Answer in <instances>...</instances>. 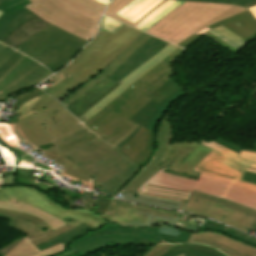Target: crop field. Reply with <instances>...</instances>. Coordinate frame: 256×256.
Instances as JSON below:
<instances>
[{
    "mask_svg": "<svg viewBox=\"0 0 256 256\" xmlns=\"http://www.w3.org/2000/svg\"><path fill=\"white\" fill-rule=\"evenodd\" d=\"M174 2L173 0H169L168 2H166L165 4H163L161 7H159L158 9H156L153 13H151L147 18H145L141 23H139L136 28H140L142 27L144 24H146L148 21H150L152 18H154L156 15H158L159 13H161L163 10H165L167 7H169L170 5H172Z\"/></svg>",
    "mask_w": 256,
    "mask_h": 256,
    "instance_id": "obj_42",
    "label": "crop field"
},
{
    "mask_svg": "<svg viewBox=\"0 0 256 256\" xmlns=\"http://www.w3.org/2000/svg\"><path fill=\"white\" fill-rule=\"evenodd\" d=\"M139 193L153 197L178 200L182 202H186L190 196V193L159 188L149 184H147Z\"/></svg>",
    "mask_w": 256,
    "mask_h": 256,
    "instance_id": "obj_27",
    "label": "crop field"
},
{
    "mask_svg": "<svg viewBox=\"0 0 256 256\" xmlns=\"http://www.w3.org/2000/svg\"><path fill=\"white\" fill-rule=\"evenodd\" d=\"M201 229L203 230H211V231H215L224 235H228L234 239L246 242L250 245L256 246V239L249 237L245 234H242L240 232H237L235 230H232L230 228H227L223 225H219L215 222L206 220L205 223L202 225Z\"/></svg>",
    "mask_w": 256,
    "mask_h": 256,
    "instance_id": "obj_28",
    "label": "crop field"
},
{
    "mask_svg": "<svg viewBox=\"0 0 256 256\" xmlns=\"http://www.w3.org/2000/svg\"><path fill=\"white\" fill-rule=\"evenodd\" d=\"M154 150V133L140 127L136 135L118 149L138 166H144Z\"/></svg>",
    "mask_w": 256,
    "mask_h": 256,
    "instance_id": "obj_19",
    "label": "crop field"
},
{
    "mask_svg": "<svg viewBox=\"0 0 256 256\" xmlns=\"http://www.w3.org/2000/svg\"><path fill=\"white\" fill-rule=\"evenodd\" d=\"M219 25L225 26L230 31H232L239 37L243 38L247 42L251 38L255 37V35H256V20L254 19L252 14L249 12V10H247L245 12H242L238 15L229 17L223 21H220V22L200 31L199 33L187 38L185 41L178 44V46L185 48L187 45H189L192 41H194L202 33L208 31L211 28L217 27Z\"/></svg>",
    "mask_w": 256,
    "mask_h": 256,
    "instance_id": "obj_17",
    "label": "crop field"
},
{
    "mask_svg": "<svg viewBox=\"0 0 256 256\" xmlns=\"http://www.w3.org/2000/svg\"><path fill=\"white\" fill-rule=\"evenodd\" d=\"M33 184H35L37 186H40L41 188H43V189H45L47 191L52 190V188L48 187L45 183H39V184L33 183Z\"/></svg>",
    "mask_w": 256,
    "mask_h": 256,
    "instance_id": "obj_53",
    "label": "crop field"
},
{
    "mask_svg": "<svg viewBox=\"0 0 256 256\" xmlns=\"http://www.w3.org/2000/svg\"><path fill=\"white\" fill-rule=\"evenodd\" d=\"M208 32L218 36L221 40H223L227 44L237 48L238 50H240L247 43L246 41L239 38L238 36H236L235 34L230 32L228 29H226L223 26L212 29Z\"/></svg>",
    "mask_w": 256,
    "mask_h": 256,
    "instance_id": "obj_33",
    "label": "crop field"
},
{
    "mask_svg": "<svg viewBox=\"0 0 256 256\" xmlns=\"http://www.w3.org/2000/svg\"><path fill=\"white\" fill-rule=\"evenodd\" d=\"M192 1L229 3V4L240 5L247 8L245 4L256 1V0H192Z\"/></svg>",
    "mask_w": 256,
    "mask_h": 256,
    "instance_id": "obj_44",
    "label": "crop field"
},
{
    "mask_svg": "<svg viewBox=\"0 0 256 256\" xmlns=\"http://www.w3.org/2000/svg\"><path fill=\"white\" fill-rule=\"evenodd\" d=\"M209 152L210 150L192 141L173 142V132L167 112L155 131V151L151 159L119 192L137 191L162 167L198 176L199 173L191 170Z\"/></svg>",
    "mask_w": 256,
    "mask_h": 256,
    "instance_id": "obj_5",
    "label": "crop field"
},
{
    "mask_svg": "<svg viewBox=\"0 0 256 256\" xmlns=\"http://www.w3.org/2000/svg\"><path fill=\"white\" fill-rule=\"evenodd\" d=\"M97 1H99L105 5H107L110 2V0H97Z\"/></svg>",
    "mask_w": 256,
    "mask_h": 256,
    "instance_id": "obj_56",
    "label": "crop field"
},
{
    "mask_svg": "<svg viewBox=\"0 0 256 256\" xmlns=\"http://www.w3.org/2000/svg\"><path fill=\"white\" fill-rule=\"evenodd\" d=\"M242 180L256 184V173L245 171Z\"/></svg>",
    "mask_w": 256,
    "mask_h": 256,
    "instance_id": "obj_47",
    "label": "crop field"
},
{
    "mask_svg": "<svg viewBox=\"0 0 256 256\" xmlns=\"http://www.w3.org/2000/svg\"><path fill=\"white\" fill-rule=\"evenodd\" d=\"M64 154L102 187L101 193L112 197L140 169L98 137Z\"/></svg>",
    "mask_w": 256,
    "mask_h": 256,
    "instance_id": "obj_4",
    "label": "crop field"
},
{
    "mask_svg": "<svg viewBox=\"0 0 256 256\" xmlns=\"http://www.w3.org/2000/svg\"><path fill=\"white\" fill-rule=\"evenodd\" d=\"M188 243H204L228 256H256V247L210 231L192 233Z\"/></svg>",
    "mask_w": 256,
    "mask_h": 256,
    "instance_id": "obj_15",
    "label": "crop field"
},
{
    "mask_svg": "<svg viewBox=\"0 0 256 256\" xmlns=\"http://www.w3.org/2000/svg\"><path fill=\"white\" fill-rule=\"evenodd\" d=\"M121 25L122 23L103 16L100 29L114 34Z\"/></svg>",
    "mask_w": 256,
    "mask_h": 256,
    "instance_id": "obj_37",
    "label": "crop field"
},
{
    "mask_svg": "<svg viewBox=\"0 0 256 256\" xmlns=\"http://www.w3.org/2000/svg\"><path fill=\"white\" fill-rule=\"evenodd\" d=\"M161 1L162 0H143L138 5H136L134 8H132L130 11H128L126 14H124L122 17L135 23L144 14H146L150 9H152L154 6H156Z\"/></svg>",
    "mask_w": 256,
    "mask_h": 256,
    "instance_id": "obj_32",
    "label": "crop field"
},
{
    "mask_svg": "<svg viewBox=\"0 0 256 256\" xmlns=\"http://www.w3.org/2000/svg\"><path fill=\"white\" fill-rule=\"evenodd\" d=\"M183 2L177 1L176 3H174L172 6H170L169 8H167L165 11H163L161 14H159L158 16H156L154 19H152L150 22H148L146 25H144L142 28H140V30L145 31L146 29H148L150 26H152L155 22H157L159 19H161L163 16H165L167 13H169L170 11L174 10L175 8H177L179 5H181ZM147 31V30H146Z\"/></svg>",
    "mask_w": 256,
    "mask_h": 256,
    "instance_id": "obj_40",
    "label": "crop field"
},
{
    "mask_svg": "<svg viewBox=\"0 0 256 256\" xmlns=\"http://www.w3.org/2000/svg\"><path fill=\"white\" fill-rule=\"evenodd\" d=\"M48 70L26 56H22L0 78V100L26 88L32 87L49 75Z\"/></svg>",
    "mask_w": 256,
    "mask_h": 256,
    "instance_id": "obj_12",
    "label": "crop field"
},
{
    "mask_svg": "<svg viewBox=\"0 0 256 256\" xmlns=\"http://www.w3.org/2000/svg\"><path fill=\"white\" fill-rule=\"evenodd\" d=\"M168 43L152 37L139 47L110 77L109 79L116 82L120 81L132 71L137 69L161 49H163Z\"/></svg>",
    "mask_w": 256,
    "mask_h": 256,
    "instance_id": "obj_18",
    "label": "crop field"
},
{
    "mask_svg": "<svg viewBox=\"0 0 256 256\" xmlns=\"http://www.w3.org/2000/svg\"><path fill=\"white\" fill-rule=\"evenodd\" d=\"M255 5H256V2H253V3L247 4L248 8L253 7V6H255Z\"/></svg>",
    "mask_w": 256,
    "mask_h": 256,
    "instance_id": "obj_57",
    "label": "crop field"
},
{
    "mask_svg": "<svg viewBox=\"0 0 256 256\" xmlns=\"http://www.w3.org/2000/svg\"><path fill=\"white\" fill-rule=\"evenodd\" d=\"M199 144L217 152L218 154L224 156V157H227L243 166H250V167H254L256 168V162L255 161H251V160H246V159H242L240 157L237 156V154L213 143L212 141H210L209 143H206L204 141H199Z\"/></svg>",
    "mask_w": 256,
    "mask_h": 256,
    "instance_id": "obj_30",
    "label": "crop field"
},
{
    "mask_svg": "<svg viewBox=\"0 0 256 256\" xmlns=\"http://www.w3.org/2000/svg\"><path fill=\"white\" fill-rule=\"evenodd\" d=\"M185 94L187 93L179 87L158 103L151 100L145 107H143L139 112H137L133 117L129 119L139 125L136 127L135 131L132 134H130L122 143H120L115 148L118 149L122 145L127 143L135 135L140 126H143L154 132L158 122L167 112L169 107L177 99L181 98Z\"/></svg>",
    "mask_w": 256,
    "mask_h": 256,
    "instance_id": "obj_14",
    "label": "crop field"
},
{
    "mask_svg": "<svg viewBox=\"0 0 256 256\" xmlns=\"http://www.w3.org/2000/svg\"><path fill=\"white\" fill-rule=\"evenodd\" d=\"M178 256H184V255H178Z\"/></svg>",
    "mask_w": 256,
    "mask_h": 256,
    "instance_id": "obj_60",
    "label": "crop field"
},
{
    "mask_svg": "<svg viewBox=\"0 0 256 256\" xmlns=\"http://www.w3.org/2000/svg\"><path fill=\"white\" fill-rule=\"evenodd\" d=\"M196 168L240 180L245 167L211 151ZM241 181V180H240Z\"/></svg>",
    "mask_w": 256,
    "mask_h": 256,
    "instance_id": "obj_22",
    "label": "crop field"
},
{
    "mask_svg": "<svg viewBox=\"0 0 256 256\" xmlns=\"http://www.w3.org/2000/svg\"><path fill=\"white\" fill-rule=\"evenodd\" d=\"M175 49H177V47H175L171 44L166 46L157 55H155L153 58H151L149 61H147L145 64H143L141 67H139L133 73H131L129 76H127L126 78H124L123 80L118 82L121 84L119 87H117L114 91H112L109 95H107L105 98H103L100 102H98L95 106H93L90 110H88L86 113H84L78 119L80 120L83 118L86 121L88 119H90L101 108H103L106 104H108L110 101H112L118 94H120L128 85H130L132 82H134L136 79H138L141 75H143L145 72H147L149 69H151L155 64H157L159 61L164 59Z\"/></svg>",
    "mask_w": 256,
    "mask_h": 256,
    "instance_id": "obj_16",
    "label": "crop field"
},
{
    "mask_svg": "<svg viewBox=\"0 0 256 256\" xmlns=\"http://www.w3.org/2000/svg\"><path fill=\"white\" fill-rule=\"evenodd\" d=\"M132 0H115L113 3H111L106 12H105V15L109 16V17H112L116 20H119L125 24H128L132 27L136 26L139 22H141L145 17H147L151 12H153L156 8H158L159 6H161L163 3H165L166 1L168 0H164L163 2H161L159 5H157L155 8H153L151 11H149L146 15H144L139 21H137L135 24L119 17V16H116L114 15L116 12H118L120 9H122L124 6H126L128 3H130Z\"/></svg>",
    "mask_w": 256,
    "mask_h": 256,
    "instance_id": "obj_31",
    "label": "crop field"
},
{
    "mask_svg": "<svg viewBox=\"0 0 256 256\" xmlns=\"http://www.w3.org/2000/svg\"><path fill=\"white\" fill-rule=\"evenodd\" d=\"M36 96L41 99H39L31 109L38 113L22 118L14 124L18 134L35 149L52 140L51 136L45 130L41 120L64 110L55 99L37 88L14 97L18 100L14 106L20 107L24 102Z\"/></svg>",
    "mask_w": 256,
    "mask_h": 256,
    "instance_id": "obj_11",
    "label": "crop field"
},
{
    "mask_svg": "<svg viewBox=\"0 0 256 256\" xmlns=\"http://www.w3.org/2000/svg\"><path fill=\"white\" fill-rule=\"evenodd\" d=\"M141 0H134L130 4H128L126 7H124L122 10H120L116 15H123L126 13L128 10H130L133 6H135L137 3H139Z\"/></svg>",
    "mask_w": 256,
    "mask_h": 256,
    "instance_id": "obj_49",
    "label": "crop field"
},
{
    "mask_svg": "<svg viewBox=\"0 0 256 256\" xmlns=\"http://www.w3.org/2000/svg\"><path fill=\"white\" fill-rule=\"evenodd\" d=\"M122 196H123L122 199H124V200L132 201V202H136V203H140V204L176 209V210L179 209V207L182 203V202H178V201L147 197V196L133 194V193H125Z\"/></svg>",
    "mask_w": 256,
    "mask_h": 256,
    "instance_id": "obj_26",
    "label": "crop field"
},
{
    "mask_svg": "<svg viewBox=\"0 0 256 256\" xmlns=\"http://www.w3.org/2000/svg\"><path fill=\"white\" fill-rule=\"evenodd\" d=\"M150 37L125 24L114 35L99 30L96 38L61 70L68 77L46 92L66 107L91 86L108 78Z\"/></svg>",
    "mask_w": 256,
    "mask_h": 256,
    "instance_id": "obj_2",
    "label": "crop field"
},
{
    "mask_svg": "<svg viewBox=\"0 0 256 256\" xmlns=\"http://www.w3.org/2000/svg\"><path fill=\"white\" fill-rule=\"evenodd\" d=\"M85 43L86 41L50 25L15 49L55 72L67 64Z\"/></svg>",
    "mask_w": 256,
    "mask_h": 256,
    "instance_id": "obj_10",
    "label": "crop field"
},
{
    "mask_svg": "<svg viewBox=\"0 0 256 256\" xmlns=\"http://www.w3.org/2000/svg\"><path fill=\"white\" fill-rule=\"evenodd\" d=\"M4 186L6 185H16V175L9 176L3 179Z\"/></svg>",
    "mask_w": 256,
    "mask_h": 256,
    "instance_id": "obj_51",
    "label": "crop field"
},
{
    "mask_svg": "<svg viewBox=\"0 0 256 256\" xmlns=\"http://www.w3.org/2000/svg\"><path fill=\"white\" fill-rule=\"evenodd\" d=\"M46 130L54 139L57 141L70 133L84 127L80 122H78L68 111L64 110L48 119L42 121ZM51 141V142H53ZM49 142L37 150L43 151L53 144Z\"/></svg>",
    "mask_w": 256,
    "mask_h": 256,
    "instance_id": "obj_21",
    "label": "crop field"
},
{
    "mask_svg": "<svg viewBox=\"0 0 256 256\" xmlns=\"http://www.w3.org/2000/svg\"><path fill=\"white\" fill-rule=\"evenodd\" d=\"M95 137H97V136L90 131V132L84 134L83 136H81V137H79V138H77V139H75V140H73V141H71L67 144H64V145L58 147V149H60L62 152H64L66 150H69L73 147H76V146H78V145H80V144H82V143H84V142H86L90 139H93Z\"/></svg>",
    "mask_w": 256,
    "mask_h": 256,
    "instance_id": "obj_36",
    "label": "crop field"
},
{
    "mask_svg": "<svg viewBox=\"0 0 256 256\" xmlns=\"http://www.w3.org/2000/svg\"><path fill=\"white\" fill-rule=\"evenodd\" d=\"M192 195L199 196V197H202V198H205V199H208V200H212V201H215V202H218V203H221V204H224V205H227V206H230V207L248 212V213L253 214V215L256 216V211L255 210L243 207L241 205H238V204H235V203H232V202H228V201H225V200H222V199H219V198H216V197H213V196L201 193V192H197V191H194V190L192 191ZM252 228H256V221L253 224Z\"/></svg>",
    "mask_w": 256,
    "mask_h": 256,
    "instance_id": "obj_34",
    "label": "crop field"
},
{
    "mask_svg": "<svg viewBox=\"0 0 256 256\" xmlns=\"http://www.w3.org/2000/svg\"><path fill=\"white\" fill-rule=\"evenodd\" d=\"M239 156L246 158V159H251V160H255L256 161V153L253 152H244L241 151Z\"/></svg>",
    "mask_w": 256,
    "mask_h": 256,
    "instance_id": "obj_50",
    "label": "crop field"
},
{
    "mask_svg": "<svg viewBox=\"0 0 256 256\" xmlns=\"http://www.w3.org/2000/svg\"><path fill=\"white\" fill-rule=\"evenodd\" d=\"M119 85L105 78L75 99L66 108L78 118Z\"/></svg>",
    "mask_w": 256,
    "mask_h": 256,
    "instance_id": "obj_20",
    "label": "crop field"
},
{
    "mask_svg": "<svg viewBox=\"0 0 256 256\" xmlns=\"http://www.w3.org/2000/svg\"><path fill=\"white\" fill-rule=\"evenodd\" d=\"M256 18V6L249 9Z\"/></svg>",
    "mask_w": 256,
    "mask_h": 256,
    "instance_id": "obj_55",
    "label": "crop field"
},
{
    "mask_svg": "<svg viewBox=\"0 0 256 256\" xmlns=\"http://www.w3.org/2000/svg\"><path fill=\"white\" fill-rule=\"evenodd\" d=\"M182 50H175L83 124L110 144L124 135L134 125L128 119L150 101L145 96L169 80L168 63Z\"/></svg>",
    "mask_w": 256,
    "mask_h": 256,
    "instance_id": "obj_3",
    "label": "crop field"
},
{
    "mask_svg": "<svg viewBox=\"0 0 256 256\" xmlns=\"http://www.w3.org/2000/svg\"><path fill=\"white\" fill-rule=\"evenodd\" d=\"M22 0H0V10L8 8Z\"/></svg>",
    "mask_w": 256,
    "mask_h": 256,
    "instance_id": "obj_48",
    "label": "crop field"
},
{
    "mask_svg": "<svg viewBox=\"0 0 256 256\" xmlns=\"http://www.w3.org/2000/svg\"><path fill=\"white\" fill-rule=\"evenodd\" d=\"M175 88H177L176 84L173 82L172 79H170L168 82H166L164 85H162L161 87H159L158 89H156L154 92H152L146 97L158 102L167 94H169L171 91H173Z\"/></svg>",
    "mask_w": 256,
    "mask_h": 256,
    "instance_id": "obj_35",
    "label": "crop field"
},
{
    "mask_svg": "<svg viewBox=\"0 0 256 256\" xmlns=\"http://www.w3.org/2000/svg\"><path fill=\"white\" fill-rule=\"evenodd\" d=\"M212 141L216 142L217 144L235 152V153H239L240 150H245V151H253L256 152V143L254 144L253 147H251L250 149H241V146L237 145V144H233L227 141H224L222 139H220L219 137H216L214 139H212Z\"/></svg>",
    "mask_w": 256,
    "mask_h": 256,
    "instance_id": "obj_38",
    "label": "crop field"
},
{
    "mask_svg": "<svg viewBox=\"0 0 256 256\" xmlns=\"http://www.w3.org/2000/svg\"><path fill=\"white\" fill-rule=\"evenodd\" d=\"M249 169H253V170H256V169H254V168H250V167H248Z\"/></svg>",
    "mask_w": 256,
    "mask_h": 256,
    "instance_id": "obj_58",
    "label": "crop field"
},
{
    "mask_svg": "<svg viewBox=\"0 0 256 256\" xmlns=\"http://www.w3.org/2000/svg\"><path fill=\"white\" fill-rule=\"evenodd\" d=\"M137 126V124H135L133 127H132V129L128 132V133H126L124 136H122L121 138H119L117 141H115L113 144H111V145H113L114 147L117 145V144H119L121 141H123L130 133H132L133 131H134V129H135V127Z\"/></svg>",
    "mask_w": 256,
    "mask_h": 256,
    "instance_id": "obj_52",
    "label": "crop field"
},
{
    "mask_svg": "<svg viewBox=\"0 0 256 256\" xmlns=\"http://www.w3.org/2000/svg\"><path fill=\"white\" fill-rule=\"evenodd\" d=\"M2 14V12L0 11V15Z\"/></svg>",
    "mask_w": 256,
    "mask_h": 256,
    "instance_id": "obj_61",
    "label": "crop field"
},
{
    "mask_svg": "<svg viewBox=\"0 0 256 256\" xmlns=\"http://www.w3.org/2000/svg\"><path fill=\"white\" fill-rule=\"evenodd\" d=\"M19 173L23 176H27V170L25 169H19Z\"/></svg>",
    "mask_w": 256,
    "mask_h": 256,
    "instance_id": "obj_54",
    "label": "crop field"
},
{
    "mask_svg": "<svg viewBox=\"0 0 256 256\" xmlns=\"http://www.w3.org/2000/svg\"><path fill=\"white\" fill-rule=\"evenodd\" d=\"M22 54L15 52L1 67H0V77L11 67V65L17 61Z\"/></svg>",
    "mask_w": 256,
    "mask_h": 256,
    "instance_id": "obj_43",
    "label": "crop field"
},
{
    "mask_svg": "<svg viewBox=\"0 0 256 256\" xmlns=\"http://www.w3.org/2000/svg\"><path fill=\"white\" fill-rule=\"evenodd\" d=\"M144 230L142 228L122 229L112 223L97 229L82 223L63 235L37 246V248L41 251L62 242L74 252L86 256L105 247L156 244L162 240L160 236L144 233Z\"/></svg>",
    "mask_w": 256,
    "mask_h": 256,
    "instance_id": "obj_8",
    "label": "crop field"
},
{
    "mask_svg": "<svg viewBox=\"0 0 256 256\" xmlns=\"http://www.w3.org/2000/svg\"><path fill=\"white\" fill-rule=\"evenodd\" d=\"M89 130L85 127L82 128L80 130H78L77 132L57 141L54 142L53 144L55 146L43 151L45 154L51 156L52 158L55 159V162L58 163L59 165L65 167L67 170L64 172L65 174L72 176L74 178L83 180V181H87V182H91L92 183V178L87 175L82 169H80L77 165H75L71 160H69L61 151H59L56 147L67 143L79 136H81L82 134L88 132Z\"/></svg>",
    "mask_w": 256,
    "mask_h": 256,
    "instance_id": "obj_24",
    "label": "crop field"
},
{
    "mask_svg": "<svg viewBox=\"0 0 256 256\" xmlns=\"http://www.w3.org/2000/svg\"><path fill=\"white\" fill-rule=\"evenodd\" d=\"M174 246L176 245H157L150 248V250L143 256H162Z\"/></svg>",
    "mask_w": 256,
    "mask_h": 256,
    "instance_id": "obj_39",
    "label": "crop field"
},
{
    "mask_svg": "<svg viewBox=\"0 0 256 256\" xmlns=\"http://www.w3.org/2000/svg\"><path fill=\"white\" fill-rule=\"evenodd\" d=\"M163 170L165 168L155 173L138 191L147 183L179 191L191 192L194 189L256 210L255 185L211 174L196 168L193 170L201 173L198 181L173 176L162 172Z\"/></svg>",
    "mask_w": 256,
    "mask_h": 256,
    "instance_id": "obj_9",
    "label": "crop field"
},
{
    "mask_svg": "<svg viewBox=\"0 0 256 256\" xmlns=\"http://www.w3.org/2000/svg\"><path fill=\"white\" fill-rule=\"evenodd\" d=\"M183 211L222 221L245 232L255 219V216L248 213L192 195Z\"/></svg>",
    "mask_w": 256,
    "mask_h": 256,
    "instance_id": "obj_13",
    "label": "crop field"
},
{
    "mask_svg": "<svg viewBox=\"0 0 256 256\" xmlns=\"http://www.w3.org/2000/svg\"><path fill=\"white\" fill-rule=\"evenodd\" d=\"M30 3L29 0H24L8 9L2 10L0 16V42L9 36L14 30L25 22L37 17L30 13L23 6Z\"/></svg>",
    "mask_w": 256,
    "mask_h": 256,
    "instance_id": "obj_23",
    "label": "crop field"
},
{
    "mask_svg": "<svg viewBox=\"0 0 256 256\" xmlns=\"http://www.w3.org/2000/svg\"><path fill=\"white\" fill-rule=\"evenodd\" d=\"M245 10L226 4L185 2L146 32L177 45L205 27Z\"/></svg>",
    "mask_w": 256,
    "mask_h": 256,
    "instance_id": "obj_6",
    "label": "crop field"
},
{
    "mask_svg": "<svg viewBox=\"0 0 256 256\" xmlns=\"http://www.w3.org/2000/svg\"><path fill=\"white\" fill-rule=\"evenodd\" d=\"M30 12L84 40L95 34L105 5L95 0H30Z\"/></svg>",
    "mask_w": 256,
    "mask_h": 256,
    "instance_id": "obj_7",
    "label": "crop field"
},
{
    "mask_svg": "<svg viewBox=\"0 0 256 256\" xmlns=\"http://www.w3.org/2000/svg\"><path fill=\"white\" fill-rule=\"evenodd\" d=\"M183 253L185 256H225L211 247L198 244L182 245V249L176 250L167 256H176Z\"/></svg>",
    "mask_w": 256,
    "mask_h": 256,
    "instance_id": "obj_29",
    "label": "crop field"
},
{
    "mask_svg": "<svg viewBox=\"0 0 256 256\" xmlns=\"http://www.w3.org/2000/svg\"><path fill=\"white\" fill-rule=\"evenodd\" d=\"M39 98H34L28 102H26L25 104H23L16 113H21V115L18 117V119L22 118V117H25L27 115H30V114H33V113H36L32 110H29L35 103L36 101L38 100Z\"/></svg>",
    "mask_w": 256,
    "mask_h": 256,
    "instance_id": "obj_41",
    "label": "crop field"
},
{
    "mask_svg": "<svg viewBox=\"0 0 256 256\" xmlns=\"http://www.w3.org/2000/svg\"><path fill=\"white\" fill-rule=\"evenodd\" d=\"M203 35L206 36V37H208V38H210V39H212V40H214V41L217 42L218 44L222 45V46L225 47L226 49H228V50H230L231 52H233L234 54H236L237 51H238V50H236V49L230 47L229 45H227L225 42L221 41L219 38H217V37L211 35V34L208 33V32L205 33V34H203Z\"/></svg>",
    "mask_w": 256,
    "mask_h": 256,
    "instance_id": "obj_46",
    "label": "crop field"
},
{
    "mask_svg": "<svg viewBox=\"0 0 256 256\" xmlns=\"http://www.w3.org/2000/svg\"><path fill=\"white\" fill-rule=\"evenodd\" d=\"M48 25H49V23H47L37 17V18L25 23L24 25L20 26L15 32H13L2 43H5L14 48Z\"/></svg>",
    "mask_w": 256,
    "mask_h": 256,
    "instance_id": "obj_25",
    "label": "crop field"
},
{
    "mask_svg": "<svg viewBox=\"0 0 256 256\" xmlns=\"http://www.w3.org/2000/svg\"><path fill=\"white\" fill-rule=\"evenodd\" d=\"M248 170V169H247ZM248 171H253V170H248ZM253 172H256V171H253Z\"/></svg>",
    "mask_w": 256,
    "mask_h": 256,
    "instance_id": "obj_59",
    "label": "crop field"
},
{
    "mask_svg": "<svg viewBox=\"0 0 256 256\" xmlns=\"http://www.w3.org/2000/svg\"><path fill=\"white\" fill-rule=\"evenodd\" d=\"M15 52L4 45L0 44V66Z\"/></svg>",
    "mask_w": 256,
    "mask_h": 256,
    "instance_id": "obj_45",
    "label": "crop field"
},
{
    "mask_svg": "<svg viewBox=\"0 0 256 256\" xmlns=\"http://www.w3.org/2000/svg\"><path fill=\"white\" fill-rule=\"evenodd\" d=\"M0 217L26 235L1 248L0 256H71L75 253L62 243L41 252L35 246L82 222L97 228L107 223L92 212L66 209L38 190L18 185L0 187Z\"/></svg>",
    "mask_w": 256,
    "mask_h": 256,
    "instance_id": "obj_1",
    "label": "crop field"
}]
</instances>
